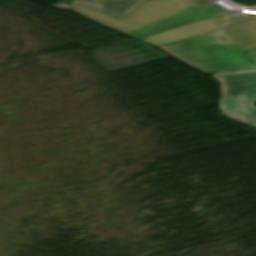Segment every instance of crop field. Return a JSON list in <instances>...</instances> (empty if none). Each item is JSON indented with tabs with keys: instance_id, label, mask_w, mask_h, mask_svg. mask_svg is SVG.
<instances>
[{
	"instance_id": "crop-field-4",
	"label": "crop field",
	"mask_w": 256,
	"mask_h": 256,
	"mask_svg": "<svg viewBox=\"0 0 256 256\" xmlns=\"http://www.w3.org/2000/svg\"><path fill=\"white\" fill-rule=\"evenodd\" d=\"M143 1L145 0H75L70 2L96 8L122 20Z\"/></svg>"
},
{
	"instance_id": "crop-field-1",
	"label": "crop field",
	"mask_w": 256,
	"mask_h": 256,
	"mask_svg": "<svg viewBox=\"0 0 256 256\" xmlns=\"http://www.w3.org/2000/svg\"><path fill=\"white\" fill-rule=\"evenodd\" d=\"M71 5L75 12L127 35L210 12L195 0H152L139 6L120 22L89 7ZM227 12L229 14L232 11L228 10ZM251 21L254 22L251 23ZM225 28L256 29V14L247 13L246 16L235 18ZM220 29L207 21L141 40L159 47Z\"/></svg>"
},
{
	"instance_id": "crop-field-5",
	"label": "crop field",
	"mask_w": 256,
	"mask_h": 256,
	"mask_svg": "<svg viewBox=\"0 0 256 256\" xmlns=\"http://www.w3.org/2000/svg\"><path fill=\"white\" fill-rule=\"evenodd\" d=\"M66 1H69V0H66Z\"/></svg>"
},
{
	"instance_id": "crop-field-2",
	"label": "crop field",
	"mask_w": 256,
	"mask_h": 256,
	"mask_svg": "<svg viewBox=\"0 0 256 256\" xmlns=\"http://www.w3.org/2000/svg\"><path fill=\"white\" fill-rule=\"evenodd\" d=\"M159 48L204 73L256 68L244 52L256 49V30L224 29Z\"/></svg>"
},
{
	"instance_id": "crop-field-3",
	"label": "crop field",
	"mask_w": 256,
	"mask_h": 256,
	"mask_svg": "<svg viewBox=\"0 0 256 256\" xmlns=\"http://www.w3.org/2000/svg\"><path fill=\"white\" fill-rule=\"evenodd\" d=\"M246 53L256 63V50ZM213 76L221 85L222 113L232 120L256 128V69L227 71Z\"/></svg>"
}]
</instances>
